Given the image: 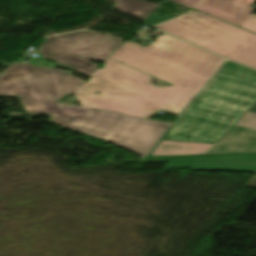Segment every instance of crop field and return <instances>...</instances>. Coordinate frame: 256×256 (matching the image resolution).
Returning <instances> with one entry per match:
<instances>
[{"label": "crop field", "instance_id": "4", "mask_svg": "<svg viewBox=\"0 0 256 256\" xmlns=\"http://www.w3.org/2000/svg\"><path fill=\"white\" fill-rule=\"evenodd\" d=\"M53 121L105 139L142 157L150 153L172 126L169 123L72 105L59 108Z\"/></svg>", "mask_w": 256, "mask_h": 256}, {"label": "crop field", "instance_id": "12", "mask_svg": "<svg viewBox=\"0 0 256 256\" xmlns=\"http://www.w3.org/2000/svg\"><path fill=\"white\" fill-rule=\"evenodd\" d=\"M120 1L115 9L145 20L159 5L142 0H117Z\"/></svg>", "mask_w": 256, "mask_h": 256}, {"label": "crop field", "instance_id": "17", "mask_svg": "<svg viewBox=\"0 0 256 256\" xmlns=\"http://www.w3.org/2000/svg\"><path fill=\"white\" fill-rule=\"evenodd\" d=\"M1 75V74H0Z\"/></svg>", "mask_w": 256, "mask_h": 256}, {"label": "crop field", "instance_id": "16", "mask_svg": "<svg viewBox=\"0 0 256 256\" xmlns=\"http://www.w3.org/2000/svg\"><path fill=\"white\" fill-rule=\"evenodd\" d=\"M156 110H161V109H159V108L154 107V106L151 105V108H150V115H151V113H152L153 111H156ZM149 117H150V116H149Z\"/></svg>", "mask_w": 256, "mask_h": 256}, {"label": "crop field", "instance_id": "14", "mask_svg": "<svg viewBox=\"0 0 256 256\" xmlns=\"http://www.w3.org/2000/svg\"><path fill=\"white\" fill-rule=\"evenodd\" d=\"M240 27L256 33V16L251 15L245 22H243Z\"/></svg>", "mask_w": 256, "mask_h": 256}, {"label": "crop field", "instance_id": "1", "mask_svg": "<svg viewBox=\"0 0 256 256\" xmlns=\"http://www.w3.org/2000/svg\"><path fill=\"white\" fill-rule=\"evenodd\" d=\"M256 101V71L227 61L161 139L216 143Z\"/></svg>", "mask_w": 256, "mask_h": 256}, {"label": "crop field", "instance_id": "8", "mask_svg": "<svg viewBox=\"0 0 256 256\" xmlns=\"http://www.w3.org/2000/svg\"><path fill=\"white\" fill-rule=\"evenodd\" d=\"M122 42V39L79 31L51 37L38 49L104 62Z\"/></svg>", "mask_w": 256, "mask_h": 256}, {"label": "crop field", "instance_id": "2", "mask_svg": "<svg viewBox=\"0 0 256 256\" xmlns=\"http://www.w3.org/2000/svg\"><path fill=\"white\" fill-rule=\"evenodd\" d=\"M74 94L85 107L146 119L150 104L179 116L195 96L176 86L150 85L148 75L110 58Z\"/></svg>", "mask_w": 256, "mask_h": 256}, {"label": "crop field", "instance_id": "15", "mask_svg": "<svg viewBox=\"0 0 256 256\" xmlns=\"http://www.w3.org/2000/svg\"><path fill=\"white\" fill-rule=\"evenodd\" d=\"M193 9L201 0H172Z\"/></svg>", "mask_w": 256, "mask_h": 256}, {"label": "crop field", "instance_id": "6", "mask_svg": "<svg viewBox=\"0 0 256 256\" xmlns=\"http://www.w3.org/2000/svg\"><path fill=\"white\" fill-rule=\"evenodd\" d=\"M83 83L59 69L13 62L0 76V95L20 96L29 114L55 112L59 98Z\"/></svg>", "mask_w": 256, "mask_h": 256}, {"label": "crop field", "instance_id": "3", "mask_svg": "<svg viewBox=\"0 0 256 256\" xmlns=\"http://www.w3.org/2000/svg\"><path fill=\"white\" fill-rule=\"evenodd\" d=\"M156 40L147 47L126 41L110 58L194 94L198 93L224 61L166 34Z\"/></svg>", "mask_w": 256, "mask_h": 256}, {"label": "crop field", "instance_id": "10", "mask_svg": "<svg viewBox=\"0 0 256 256\" xmlns=\"http://www.w3.org/2000/svg\"><path fill=\"white\" fill-rule=\"evenodd\" d=\"M203 1V0H202ZM256 0H204L195 10L239 26L246 20Z\"/></svg>", "mask_w": 256, "mask_h": 256}, {"label": "crop field", "instance_id": "5", "mask_svg": "<svg viewBox=\"0 0 256 256\" xmlns=\"http://www.w3.org/2000/svg\"><path fill=\"white\" fill-rule=\"evenodd\" d=\"M156 28L256 68V34L193 11Z\"/></svg>", "mask_w": 256, "mask_h": 256}, {"label": "crop field", "instance_id": "7", "mask_svg": "<svg viewBox=\"0 0 256 256\" xmlns=\"http://www.w3.org/2000/svg\"><path fill=\"white\" fill-rule=\"evenodd\" d=\"M256 152V102L216 144L162 140L150 156Z\"/></svg>", "mask_w": 256, "mask_h": 256}, {"label": "crop field", "instance_id": "13", "mask_svg": "<svg viewBox=\"0 0 256 256\" xmlns=\"http://www.w3.org/2000/svg\"><path fill=\"white\" fill-rule=\"evenodd\" d=\"M175 16L173 15H170L168 13L164 14L163 16H158L156 14H151L145 21L144 23H146L147 25L149 26H153V25H156V24H159L161 22H164V21H167L171 18H173Z\"/></svg>", "mask_w": 256, "mask_h": 256}, {"label": "crop field", "instance_id": "11", "mask_svg": "<svg viewBox=\"0 0 256 256\" xmlns=\"http://www.w3.org/2000/svg\"><path fill=\"white\" fill-rule=\"evenodd\" d=\"M42 53L43 57L56 60L57 63L71 66L76 71L80 72L81 74L90 75L98 68V64H93L87 60H82L62 54L55 53L54 55L50 54L48 51L39 50Z\"/></svg>", "mask_w": 256, "mask_h": 256}, {"label": "crop field", "instance_id": "9", "mask_svg": "<svg viewBox=\"0 0 256 256\" xmlns=\"http://www.w3.org/2000/svg\"><path fill=\"white\" fill-rule=\"evenodd\" d=\"M172 161L167 168L222 169L256 173V154L146 157L145 162Z\"/></svg>", "mask_w": 256, "mask_h": 256}]
</instances>
